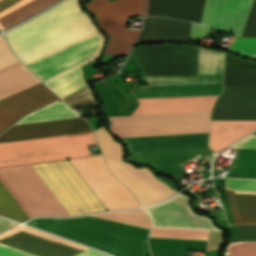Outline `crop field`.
I'll use <instances>...</instances> for the list:
<instances>
[{"instance_id": "crop-field-1", "label": "crop field", "mask_w": 256, "mask_h": 256, "mask_svg": "<svg viewBox=\"0 0 256 256\" xmlns=\"http://www.w3.org/2000/svg\"><path fill=\"white\" fill-rule=\"evenodd\" d=\"M217 95L137 99L131 115L211 110ZM211 111L108 117L117 137L208 132ZM129 151L208 147V133L120 138Z\"/></svg>"}, {"instance_id": "crop-field-2", "label": "crop field", "mask_w": 256, "mask_h": 256, "mask_svg": "<svg viewBox=\"0 0 256 256\" xmlns=\"http://www.w3.org/2000/svg\"><path fill=\"white\" fill-rule=\"evenodd\" d=\"M92 131L81 118H69L11 127L0 143ZM92 132L0 144V167L91 156L87 144Z\"/></svg>"}, {"instance_id": "crop-field-3", "label": "crop field", "mask_w": 256, "mask_h": 256, "mask_svg": "<svg viewBox=\"0 0 256 256\" xmlns=\"http://www.w3.org/2000/svg\"><path fill=\"white\" fill-rule=\"evenodd\" d=\"M78 1L65 0L5 33L10 47L24 64L96 31Z\"/></svg>"}, {"instance_id": "crop-field-4", "label": "crop field", "mask_w": 256, "mask_h": 256, "mask_svg": "<svg viewBox=\"0 0 256 256\" xmlns=\"http://www.w3.org/2000/svg\"><path fill=\"white\" fill-rule=\"evenodd\" d=\"M69 216L106 210L68 160L31 165ZM0 215L29 219L0 182Z\"/></svg>"}, {"instance_id": "crop-field-5", "label": "crop field", "mask_w": 256, "mask_h": 256, "mask_svg": "<svg viewBox=\"0 0 256 256\" xmlns=\"http://www.w3.org/2000/svg\"><path fill=\"white\" fill-rule=\"evenodd\" d=\"M223 55L198 48L197 77L142 76L149 86L129 91L135 98L220 94Z\"/></svg>"}, {"instance_id": "crop-field-6", "label": "crop field", "mask_w": 256, "mask_h": 256, "mask_svg": "<svg viewBox=\"0 0 256 256\" xmlns=\"http://www.w3.org/2000/svg\"><path fill=\"white\" fill-rule=\"evenodd\" d=\"M40 82L25 66L16 62L0 69V99ZM58 100L41 82L0 100V134L20 117Z\"/></svg>"}, {"instance_id": "crop-field-7", "label": "crop field", "mask_w": 256, "mask_h": 256, "mask_svg": "<svg viewBox=\"0 0 256 256\" xmlns=\"http://www.w3.org/2000/svg\"><path fill=\"white\" fill-rule=\"evenodd\" d=\"M102 149L105 161L114 176L135 195L141 206L159 202L176 193L164 182L155 178L147 168L136 167L122 162L124 156L121 145L103 129L93 131Z\"/></svg>"}, {"instance_id": "crop-field-8", "label": "crop field", "mask_w": 256, "mask_h": 256, "mask_svg": "<svg viewBox=\"0 0 256 256\" xmlns=\"http://www.w3.org/2000/svg\"><path fill=\"white\" fill-rule=\"evenodd\" d=\"M26 224L103 249L117 256H148L147 241L108 234L56 218H38Z\"/></svg>"}, {"instance_id": "crop-field-9", "label": "crop field", "mask_w": 256, "mask_h": 256, "mask_svg": "<svg viewBox=\"0 0 256 256\" xmlns=\"http://www.w3.org/2000/svg\"><path fill=\"white\" fill-rule=\"evenodd\" d=\"M142 5L143 0H91L86 7L97 16L103 29L125 23L128 15L142 14ZM125 24L103 29L110 36L104 54H128L139 30L127 29Z\"/></svg>"}, {"instance_id": "crop-field-10", "label": "crop field", "mask_w": 256, "mask_h": 256, "mask_svg": "<svg viewBox=\"0 0 256 256\" xmlns=\"http://www.w3.org/2000/svg\"><path fill=\"white\" fill-rule=\"evenodd\" d=\"M69 161L107 210L140 207L131 192L110 174L101 156Z\"/></svg>"}, {"instance_id": "crop-field-11", "label": "crop field", "mask_w": 256, "mask_h": 256, "mask_svg": "<svg viewBox=\"0 0 256 256\" xmlns=\"http://www.w3.org/2000/svg\"><path fill=\"white\" fill-rule=\"evenodd\" d=\"M131 55L143 75L196 76L197 47L148 46L133 49Z\"/></svg>"}, {"instance_id": "crop-field-12", "label": "crop field", "mask_w": 256, "mask_h": 256, "mask_svg": "<svg viewBox=\"0 0 256 256\" xmlns=\"http://www.w3.org/2000/svg\"><path fill=\"white\" fill-rule=\"evenodd\" d=\"M103 37L94 33L26 64L43 82L79 65L96 60Z\"/></svg>"}, {"instance_id": "crop-field-13", "label": "crop field", "mask_w": 256, "mask_h": 256, "mask_svg": "<svg viewBox=\"0 0 256 256\" xmlns=\"http://www.w3.org/2000/svg\"><path fill=\"white\" fill-rule=\"evenodd\" d=\"M188 202V197L177 195L161 204L148 207L146 211L151 217L152 226L218 230L209 219L194 215Z\"/></svg>"}, {"instance_id": "crop-field-14", "label": "crop field", "mask_w": 256, "mask_h": 256, "mask_svg": "<svg viewBox=\"0 0 256 256\" xmlns=\"http://www.w3.org/2000/svg\"><path fill=\"white\" fill-rule=\"evenodd\" d=\"M211 120H256V87H224Z\"/></svg>"}, {"instance_id": "crop-field-15", "label": "crop field", "mask_w": 256, "mask_h": 256, "mask_svg": "<svg viewBox=\"0 0 256 256\" xmlns=\"http://www.w3.org/2000/svg\"><path fill=\"white\" fill-rule=\"evenodd\" d=\"M252 0H206L201 23L232 29L241 36Z\"/></svg>"}, {"instance_id": "crop-field-16", "label": "crop field", "mask_w": 256, "mask_h": 256, "mask_svg": "<svg viewBox=\"0 0 256 256\" xmlns=\"http://www.w3.org/2000/svg\"><path fill=\"white\" fill-rule=\"evenodd\" d=\"M205 0H145L147 16L158 15L182 20L200 22Z\"/></svg>"}, {"instance_id": "crop-field-17", "label": "crop field", "mask_w": 256, "mask_h": 256, "mask_svg": "<svg viewBox=\"0 0 256 256\" xmlns=\"http://www.w3.org/2000/svg\"><path fill=\"white\" fill-rule=\"evenodd\" d=\"M190 25L191 23L188 22H181L168 18H146L143 31L136 44L152 40L188 41Z\"/></svg>"}, {"instance_id": "crop-field-18", "label": "crop field", "mask_w": 256, "mask_h": 256, "mask_svg": "<svg viewBox=\"0 0 256 256\" xmlns=\"http://www.w3.org/2000/svg\"><path fill=\"white\" fill-rule=\"evenodd\" d=\"M256 129V121H211L209 147L216 153Z\"/></svg>"}, {"instance_id": "crop-field-19", "label": "crop field", "mask_w": 256, "mask_h": 256, "mask_svg": "<svg viewBox=\"0 0 256 256\" xmlns=\"http://www.w3.org/2000/svg\"><path fill=\"white\" fill-rule=\"evenodd\" d=\"M57 0H0V29L41 11Z\"/></svg>"}, {"instance_id": "crop-field-20", "label": "crop field", "mask_w": 256, "mask_h": 256, "mask_svg": "<svg viewBox=\"0 0 256 256\" xmlns=\"http://www.w3.org/2000/svg\"><path fill=\"white\" fill-rule=\"evenodd\" d=\"M234 224L256 223V196L225 191Z\"/></svg>"}, {"instance_id": "crop-field-21", "label": "crop field", "mask_w": 256, "mask_h": 256, "mask_svg": "<svg viewBox=\"0 0 256 256\" xmlns=\"http://www.w3.org/2000/svg\"><path fill=\"white\" fill-rule=\"evenodd\" d=\"M45 83L61 98L86 87L80 66Z\"/></svg>"}, {"instance_id": "crop-field-22", "label": "crop field", "mask_w": 256, "mask_h": 256, "mask_svg": "<svg viewBox=\"0 0 256 256\" xmlns=\"http://www.w3.org/2000/svg\"><path fill=\"white\" fill-rule=\"evenodd\" d=\"M77 116L79 115H77L73 110H71L68 106H66L62 101H57L37 112H34L26 116L17 124H25V123L40 122V121H47V120H54V119L77 117Z\"/></svg>"}, {"instance_id": "crop-field-23", "label": "crop field", "mask_w": 256, "mask_h": 256, "mask_svg": "<svg viewBox=\"0 0 256 256\" xmlns=\"http://www.w3.org/2000/svg\"><path fill=\"white\" fill-rule=\"evenodd\" d=\"M224 86H256V66H225Z\"/></svg>"}, {"instance_id": "crop-field-24", "label": "crop field", "mask_w": 256, "mask_h": 256, "mask_svg": "<svg viewBox=\"0 0 256 256\" xmlns=\"http://www.w3.org/2000/svg\"><path fill=\"white\" fill-rule=\"evenodd\" d=\"M91 216L150 228L149 217L143 210L110 212V213L95 214Z\"/></svg>"}, {"instance_id": "crop-field-25", "label": "crop field", "mask_w": 256, "mask_h": 256, "mask_svg": "<svg viewBox=\"0 0 256 256\" xmlns=\"http://www.w3.org/2000/svg\"><path fill=\"white\" fill-rule=\"evenodd\" d=\"M228 49L242 55L256 58V38H236L229 45Z\"/></svg>"}, {"instance_id": "crop-field-26", "label": "crop field", "mask_w": 256, "mask_h": 256, "mask_svg": "<svg viewBox=\"0 0 256 256\" xmlns=\"http://www.w3.org/2000/svg\"><path fill=\"white\" fill-rule=\"evenodd\" d=\"M226 190H235V193L256 194V180L226 179Z\"/></svg>"}, {"instance_id": "crop-field-27", "label": "crop field", "mask_w": 256, "mask_h": 256, "mask_svg": "<svg viewBox=\"0 0 256 256\" xmlns=\"http://www.w3.org/2000/svg\"><path fill=\"white\" fill-rule=\"evenodd\" d=\"M16 61H18V59L8 47L4 37L0 35V68L12 64Z\"/></svg>"}, {"instance_id": "crop-field-28", "label": "crop field", "mask_w": 256, "mask_h": 256, "mask_svg": "<svg viewBox=\"0 0 256 256\" xmlns=\"http://www.w3.org/2000/svg\"><path fill=\"white\" fill-rule=\"evenodd\" d=\"M237 241L256 240V225L234 226Z\"/></svg>"}, {"instance_id": "crop-field-29", "label": "crop field", "mask_w": 256, "mask_h": 256, "mask_svg": "<svg viewBox=\"0 0 256 256\" xmlns=\"http://www.w3.org/2000/svg\"><path fill=\"white\" fill-rule=\"evenodd\" d=\"M242 36L256 37V0L253 1Z\"/></svg>"}, {"instance_id": "crop-field-30", "label": "crop field", "mask_w": 256, "mask_h": 256, "mask_svg": "<svg viewBox=\"0 0 256 256\" xmlns=\"http://www.w3.org/2000/svg\"><path fill=\"white\" fill-rule=\"evenodd\" d=\"M222 232L208 231L205 251L221 248Z\"/></svg>"}, {"instance_id": "crop-field-31", "label": "crop field", "mask_w": 256, "mask_h": 256, "mask_svg": "<svg viewBox=\"0 0 256 256\" xmlns=\"http://www.w3.org/2000/svg\"><path fill=\"white\" fill-rule=\"evenodd\" d=\"M210 29L206 26L192 23L190 37L193 38H205L208 37Z\"/></svg>"}, {"instance_id": "crop-field-32", "label": "crop field", "mask_w": 256, "mask_h": 256, "mask_svg": "<svg viewBox=\"0 0 256 256\" xmlns=\"http://www.w3.org/2000/svg\"><path fill=\"white\" fill-rule=\"evenodd\" d=\"M0 256H34L0 244Z\"/></svg>"}, {"instance_id": "crop-field-33", "label": "crop field", "mask_w": 256, "mask_h": 256, "mask_svg": "<svg viewBox=\"0 0 256 256\" xmlns=\"http://www.w3.org/2000/svg\"><path fill=\"white\" fill-rule=\"evenodd\" d=\"M231 147L256 148V134L245 138L244 140L232 145Z\"/></svg>"}, {"instance_id": "crop-field-34", "label": "crop field", "mask_w": 256, "mask_h": 256, "mask_svg": "<svg viewBox=\"0 0 256 256\" xmlns=\"http://www.w3.org/2000/svg\"><path fill=\"white\" fill-rule=\"evenodd\" d=\"M16 223L0 218V233L13 227Z\"/></svg>"}, {"instance_id": "crop-field-35", "label": "crop field", "mask_w": 256, "mask_h": 256, "mask_svg": "<svg viewBox=\"0 0 256 256\" xmlns=\"http://www.w3.org/2000/svg\"><path fill=\"white\" fill-rule=\"evenodd\" d=\"M76 256H108V255H105L101 252H98V251H94V250H91V249H88Z\"/></svg>"}]
</instances>
